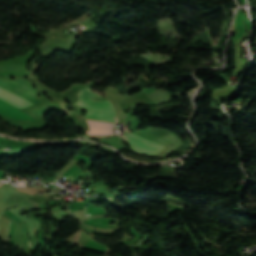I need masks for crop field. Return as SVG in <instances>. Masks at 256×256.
I'll return each mask as SVG.
<instances>
[{"instance_id":"3","label":"crop field","mask_w":256,"mask_h":256,"mask_svg":"<svg viewBox=\"0 0 256 256\" xmlns=\"http://www.w3.org/2000/svg\"><path fill=\"white\" fill-rule=\"evenodd\" d=\"M0 99L21 109L33 103L0 89Z\"/></svg>"},{"instance_id":"1","label":"crop field","mask_w":256,"mask_h":256,"mask_svg":"<svg viewBox=\"0 0 256 256\" xmlns=\"http://www.w3.org/2000/svg\"><path fill=\"white\" fill-rule=\"evenodd\" d=\"M94 97L100 96L90 92L89 88H83L78 92L79 101L75 103L89 109L84 115L88 118L98 121L114 122L116 116L111 102L109 100L94 101L90 99Z\"/></svg>"},{"instance_id":"2","label":"crop field","mask_w":256,"mask_h":256,"mask_svg":"<svg viewBox=\"0 0 256 256\" xmlns=\"http://www.w3.org/2000/svg\"><path fill=\"white\" fill-rule=\"evenodd\" d=\"M120 137L129 141L133 152L145 155H152L158 153L160 150L164 148L152 141L140 138L134 134H126Z\"/></svg>"}]
</instances>
